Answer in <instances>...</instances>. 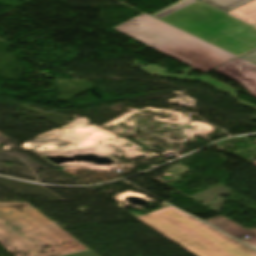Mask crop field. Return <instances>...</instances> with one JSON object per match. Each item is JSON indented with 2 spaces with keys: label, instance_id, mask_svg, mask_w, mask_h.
Returning a JSON list of instances; mask_svg holds the SVG:
<instances>
[{
  "label": "crop field",
  "instance_id": "crop-field-1",
  "mask_svg": "<svg viewBox=\"0 0 256 256\" xmlns=\"http://www.w3.org/2000/svg\"><path fill=\"white\" fill-rule=\"evenodd\" d=\"M0 243L15 256H64L88 250L27 203H0Z\"/></svg>",
  "mask_w": 256,
  "mask_h": 256
},
{
  "label": "crop field",
  "instance_id": "crop-field-2",
  "mask_svg": "<svg viewBox=\"0 0 256 256\" xmlns=\"http://www.w3.org/2000/svg\"><path fill=\"white\" fill-rule=\"evenodd\" d=\"M112 29L203 72L237 57L146 14Z\"/></svg>",
  "mask_w": 256,
  "mask_h": 256
},
{
  "label": "crop field",
  "instance_id": "crop-field-3",
  "mask_svg": "<svg viewBox=\"0 0 256 256\" xmlns=\"http://www.w3.org/2000/svg\"><path fill=\"white\" fill-rule=\"evenodd\" d=\"M152 15L237 55L256 47L255 29L199 0H181Z\"/></svg>",
  "mask_w": 256,
  "mask_h": 256
},
{
  "label": "crop field",
  "instance_id": "crop-field-4",
  "mask_svg": "<svg viewBox=\"0 0 256 256\" xmlns=\"http://www.w3.org/2000/svg\"><path fill=\"white\" fill-rule=\"evenodd\" d=\"M146 224L195 256H256L186 217L158 218Z\"/></svg>",
  "mask_w": 256,
  "mask_h": 256
},
{
  "label": "crop field",
  "instance_id": "crop-field-5",
  "mask_svg": "<svg viewBox=\"0 0 256 256\" xmlns=\"http://www.w3.org/2000/svg\"><path fill=\"white\" fill-rule=\"evenodd\" d=\"M214 70L239 82L256 98V65L237 58Z\"/></svg>",
  "mask_w": 256,
  "mask_h": 256
},
{
  "label": "crop field",
  "instance_id": "crop-field-6",
  "mask_svg": "<svg viewBox=\"0 0 256 256\" xmlns=\"http://www.w3.org/2000/svg\"><path fill=\"white\" fill-rule=\"evenodd\" d=\"M205 221L237 239H239L245 235L249 236L250 237L249 239L245 238L241 241L256 248V234L249 231L248 229H246V228H244V227H242V226H240L222 216L215 217V218L205 220Z\"/></svg>",
  "mask_w": 256,
  "mask_h": 256
},
{
  "label": "crop field",
  "instance_id": "crop-field-7",
  "mask_svg": "<svg viewBox=\"0 0 256 256\" xmlns=\"http://www.w3.org/2000/svg\"><path fill=\"white\" fill-rule=\"evenodd\" d=\"M250 26L256 24V0L226 13Z\"/></svg>",
  "mask_w": 256,
  "mask_h": 256
},
{
  "label": "crop field",
  "instance_id": "crop-field-8",
  "mask_svg": "<svg viewBox=\"0 0 256 256\" xmlns=\"http://www.w3.org/2000/svg\"><path fill=\"white\" fill-rule=\"evenodd\" d=\"M224 13L252 0H200Z\"/></svg>",
  "mask_w": 256,
  "mask_h": 256
},
{
  "label": "crop field",
  "instance_id": "crop-field-9",
  "mask_svg": "<svg viewBox=\"0 0 256 256\" xmlns=\"http://www.w3.org/2000/svg\"><path fill=\"white\" fill-rule=\"evenodd\" d=\"M165 216H182V215H179V214H176V213H171V214H168V215H165ZM165 216L137 215L136 217H137L138 219H140L142 222L145 223V222H148V221H150V220H152V219H154V218H157V217H165ZM186 217H187V216H186ZM188 218H189V217H188ZM192 220H194V221L200 223L201 225H203V226H205V227L211 229L212 231L218 233L219 235H221V236H223V237H225V238H227V239L233 241L234 243L238 244L239 246L243 247L244 249L248 250L249 252H251V253H253V254L256 253V251H254V250L250 249L249 247H247V246L241 244L240 242H238V241L232 239L231 237H229V236H227V235H225V234H223V233H221V232L215 230L214 228H212V227H210V226H208V225H206V224H204V223H202V222H200V221H198V220H196V219H192Z\"/></svg>",
  "mask_w": 256,
  "mask_h": 256
},
{
  "label": "crop field",
  "instance_id": "crop-field-10",
  "mask_svg": "<svg viewBox=\"0 0 256 256\" xmlns=\"http://www.w3.org/2000/svg\"><path fill=\"white\" fill-rule=\"evenodd\" d=\"M240 57L249 61V62H252V63L256 64V49L247 53V54H244Z\"/></svg>",
  "mask_w": 256,
  "mask_h": 256
},
{
  "label": "crop field",
  "instance_id": "crop-field-11",
  "mask_svg": "<svg viewBox=\"0 0 256 256\" xmlns=\"http://www.w3.org/2000/svg\"><path fill=\"white\" fill-rule=\"evenodd\" d=\"M249 230H251V231H253V232H255V233H256V228H255V229H249Z\"/></svg>",
  "mask_w": 256,
  "mask_h": 256
},
{
  "label": "crop field",
  "instance_id": "crop-field-12",
  "mask_svg": "<svg viewBox=\"0 0 256 256\" xmlns=\"http://www.w3.org/2000/svg\"><path fill=\"white\" fill-rule=\"evenodd\" d=\"M252 163L256 165V161H255V162H252Z\"/></svg>",
  "mask_w": 256,
  "mask_h": 256
},
{
  "label": "crop field",
  "instance_id": "crop-field-13",
  "mask_svg": "<svg viewBox=\"0 0 256 256\" xmlns=\"http://www.w3.org/2000/svg\"><path fill=\"white\" fill-rule=\"evenodd\" d=\"M255 28H256V26H255Z\"/></svg>",
  "mask_w": 256,
  "mask_h": 256
}]
</instances>
